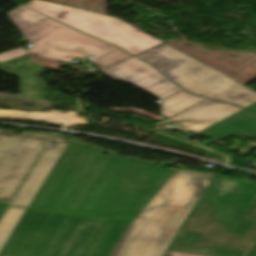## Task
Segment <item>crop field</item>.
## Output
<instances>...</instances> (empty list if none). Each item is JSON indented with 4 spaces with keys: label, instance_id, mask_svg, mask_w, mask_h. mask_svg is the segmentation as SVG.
<instances>
[{
    "label": "crop field",
    "instance_id": "8a807250",
    "mask_svg": "<svg viewBox=\"0 0 256 256\" xmlns=\"http://www.w3.org/2000/svg\"><path fill=\"white\" fill-rule=\"evenodd\" d=\"M174 171L70 142L29 208L97 218L138 214Z\"/></svg>",
    "mask_w": 256,
    "mask_h": 256
},
{
    "label": "crop field",
    "instance_id": "ac0d7876",
    "mask_svg": "<svg viewBox=\"0 0 256 256\" xmlns=\"http://www.w3.org/2000/svg\"><path fill=\"white\" fill-rule=\"evenodd\" d=\"M256 184L216 174L169 250L256 256Z\"/></svg>",
    "mask_w": 256,
    "mask_h": 256
},
{
    "label": "crop field",
    "instance_id": "34b2d1b8",
    "mask_svg": "<svg viewBox=\"0 0 256 256\" xmlns=\"http://www.w3.org/2000/svg\"><path fill=\"white\" fill-rule=\"evenodd\" d=\"M135 216L97 219L27 209L0 256H108Z\"/></svg>",
    "mask_w": 256,
    "mask_h": 256
},
{
    "label": "crop field",
    "instance_id": "412701ff",
    "mask_svg": "<svg viewBox=\"0 0 256 256\" xmlns=\"http://www.w3.org/2000/svg\"><path fill=\"white\" fill-rule=\"evenodd\" d=\"M212 176L179 169L125 231L110 256H163Z\"/></svg>",
    "mask_w": 256,
    "mask_h": 256
},
{
    "label": "crop field",
    "instance_id": "f4fd0767",
    "mask_svg": "<svg viewBox=\"0 0 256 256\" xmlns=\"http://www.w3.org/2000/svg\"><path fill=\"white\" fill-rule=\"evenodd\" d=\"M154 65L177 86L194 95L248 107L256 91L163 43L135 55Z\"/></svg>",
    "mask_w": 256,
    "mask_h": 256
},
{
    "label": "crop field",
    "instance_id": "dd49c442",
    "mask_svg": "<svg viewBox=\"0 0 256 256\" xmlns=\"http://www.w3.org/2000/svg\"><path fill=\"white\" fill-rule=\"evenodd\" d=\"M24 6L49 15L81 32L120 46L133 55L163 43L117 18L41 0H32Z\"/></svg>",
    "mask_w": 256,
    "mask_h": 256
},
{
    "label": "crop field",
    "instance_id": "e52e79f7",
    "mask_svg": "<svg viewBox=\"0 0 256 256\" xmlns=\"http://www.w3.org/2000/svg\"><path fill=\"white\" fill-rule=\"evenodd\" d=\"M34 46L28 51L42 56L72 62L75 57L105 56L119 48L100 42L50 17L22 32Z\"/></svg>",
    "mask_w": 256,
    "mask_h": 256
},
{
    "label": "crop field",
    "instance_id": "d8731c3e",
    "mask_svg": "<svg viewBox=\"0 0 256 256\" xmlns=\"http://www.w3.org/2000/svg\"><path fill=\"white\" fill-rule=\"evenodd\" d=\"M50 137L0 130V217Z\"/></svg>",
    "mask_w": 256,
    "mask_h": 256
},
{
    "label": "crop field",
    "instance_id": "5a996713",
    "mask_svg": "<svg viewBox=\"0 0 256 256\" xmlns=\"http://www.w3.org/2000/svg\"><path fill=\"white\" fill-rule=\"evenodd\" d=\"M102 73L116 80L129 82L161 100L181 91L153 66L133 56L102 71Z\"/></svg>",
    "mask_w": 256,
    "mask_h": 256
},
{
    "label": "crop field",
    "instance_id": "3316defc",
    "mask_svg": "<svg viewBox=\"0 0 256 256\" xmlns=\"http://www.w3.org/2000/svg\"><path fill=\"white\" fill-rule=\"evenodd\" d=\"M241 109L243 108L207 99L171 117V120L180 121L181 128L198 133Z\"/></svg>",
    "mask_w": 256,
    "mask_h": 256
},
{
    "label": "crop field",
    "instance_id": "28ad6ade",
    "mask_svg": "<svg viewBox=\"0 0 256 256\" xmlns=\"http://www.w3.org/2000/svg\"><path fill=\"white\" fill-rule=\"evenodd\" d=\"M56 142L54 148H46L41 159L25 181L15 200L13 206L28 208L31 201L39 191L47 176L55 166L63 151L69 144V141L53 136Z\"/></svg>",
    "mask_w": 256,
    "mask_h": 256
},
{
    "label": "crop field",
    "instance_id": "d1516ede",
    "mask_svg": "<svg viewBox=\"0 0 256 256\" xmlns=\"http://www.w3.org/2000/svg\"><path fill=\"white\" fill-rule=\"evenodd\" d=\"M198 135L218 140L228 136L256 138V113L243 109Z\"/></svg>",
    "mask_w": 256,
    "mask_h": 256
},
{
    "label": "crop field",
    "instance_id": "22f410ed",
    "mask_svg": "<svg viewBox=\"0 0 256 256\" xmlns=\"http://www.w3.org/2000/svg\"><path fill=\"white\" fill-rule=\"evenodd\" d=\"M206 98L196 97L185 91L163 101V114L170 117Z\"/></svg>",
    "mask_w": 256,
    "mask_h": 256
},
{
    "label": "crop field",
    "instance_id": "cbeb9de0",
    "mask_svg": "<svg viewBox=\"0 0 256 256\" xmlns=\"http://www.w3.org/2000/svg\"><path fill=\"white\" fill-rule=\"evenodd\" d=\"M26 211L25 208L10 206L0 222V250Z\"/></svg>",
    "mask_w": 256,
    "mask_h": 256
},
{
    "label": "crop field",
    "instance_id": "5142ce71",
    "mask_svg": "<svg viewBox=\"0 0 256 256\" xmlns=\"http://www.w3.org/2000/svg\"><path fill=\"white\" fill-rule=\"evenodd\" d=\"M8 15L21 32L45 17L23 6L9 12Z\"/></svg>",
    "mask_w": 256,
    "mask_h": 256
},
{
    "label": "crop field",
    "instance_id": "d9b57169",
    "mask_svg": "<svg viewBox=\"0 0 256 256\" xmlns=\"http://www.w3.org/2000/svg\"><path fill=\"white\" fill-rule=\"evenodd\" d=\"M132 56L131 54H129L128 52L119 49L105 57L99 58L93 62H91L92 64H94L100 71L128 58Z\"/></svg>",
    "mask_w": 256,
    "mask_h": 256
},
{
    "label": "crop field",
    "instance_id": "733c2abd",
    "mask_svg": "<svg viewBox=\"0 0 256 256\" xmlns=\"http://www.w3.org/2000/svg\"><path fill=\"white\" fill-rule=\"evenodd\" d=\"M108 109L113 110L115 112L129 110V111H132V112H135V113L147 116L149 118L155 119L157 121H159L161 119H164L163 117L158 116L156 114H153V113H150V112H146V111H143V110H140V109H136V108H108Z\"/></svg>",
    "mask_w": 256,
    "mask_h": 256
},
{
    "label": "crop field",
    "instance_id": "4a817a6b",
    "mask_svg": "<svg viewBox=\"0 0 256 256\" xmlns=\"http://www.w3.org/2000/svg\"><path fill=\"white\" fill-rule=\"evenodd\" d=\"M29 54L28 52L24 51L23 49L19 48L4 54L0 55V62L6 61V60H10L22 55H26Z\"/></svg>",
    "mask_w": 256,
    "mask_h": 256
},
{
    "label": "crop field",
    "instance_id": "bc2a9ffb",
    "mask_svg": "<svg viewBox=\"0 0 256 256\" xmlns=\"http://www.w3.org/2000/svg\"><path fill=\"white\" fill-rule=\"evenodd\" d=\"M166 256H202V255H194V254H187V253L168 251Z\"/></svg>",
    "mask_w": 256,
    "mask_h": 256
},
{
    "label": "crop field",
    "instance_id": "214f88e0",
    "mask_svg": "<svg viewBox=\"0 0 256 256\" xmlns=\"http://www.w3.org/2000/svg\"><path fill=\"white\" fill-rule=\"evenodd\" d=\"M247 109H249V110H252V111L256 112V103H255V104H253L252 106L248 107Z\"/></svg>",
    "mask_w": 256,
    "mask_h": 256
},
{
    "label": "crop field",
    "instance_id": "92a150f3",
    "mask_svg": "<svg viewBox=\"0 0 256 256\" xmlns=\"http://www.w3.org/2000/svg\"><path fill=\"white\" fill-rule=\"evenodd\" d=\"M166 120H168V119H166ZM164 121H165V120H164ZM164 121H162V123H161L160 125H162V124L166 123V122H164ZM160 125H158V126H160Z\"/></svg>",
    "mask_w": 256,
    "mask_h": 256
}]
</instances>
